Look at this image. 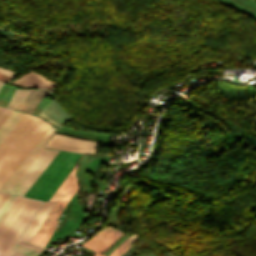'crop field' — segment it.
<instances>
[{"label":"crop field","mask_w":256,"mask_h":256,"mask_svg":"<svg viewBox=\"0 0 256 256\" xmlns=\"http://www.w3.org/2000/svg\"><path fill=\"white\" fill-rule=\"evenodd\" d=\"M54 131L55 130L51 127L49 128L6 183L1 187V191L21 196L24 195L36 178L57 154L56 151L41 149L52 136Z\"/></svg>","instance_id":"obj_1"},{"label":"crop field","mask_w":256,"mask_h":256,"mask_svg":"<svg viewBox=\"0 0 256 256\" xmlns=\"http://www.w3.org/2000/svg\"><path fill=\"white\" fill-rule=\"evenodd\" d=\"M81 156L60 151L24 196L49 200Z\"/></svg>","instance_id":"obj_2"},{"label":"crop field","mask_w":256,"mask_h":256,"mask_svg":"<svg viewBox=\"0 0 256 256\" xmlns=\"http://www.w3.org/2000/svg\"><path fill=\"white\" fill-rule=\"evenodd\" d=\"M76 166L71 171V173L68 175V177L64 180V182L61 184V186L57 189V191L54 193V195L51 197L50 200L57 201L54 205L53 209L47 216L46 220L42 224L41 228L35 235L34 239L32 240V243L40 245L44 247L47 240L53 233L54 229L58 225L56 219L68 203L70 197L75 192V190L78 187V181L77 176L75 175L76 172Z\"/></svg>","instance_id":"obj_3"},{"label":"crop field","mask_w":256,"mask_h":256,"mask_svg":"<svg viewBox=\"0 0 256 256\" xmlns=\"http://www.w3.org/2000/svg\"><path fill=\"white\" fill-rule=\"evenodd\" d=\"M124 234L119 232L117 229L112 227H106L99 232H97L93 238L83 244V246H86L92 250H95L97 253L95 256H103L100 253L103 252L105 249H107L113 242L118 240L120 237H122ZM136 235L130 236L126 241H124L114 252H112L109 256H121L129 247L128 245Z\"/></svg>","instance_id":"obj_4"},{"label":"crop field","mask_w":256,"mask_h":256,"mask_svg":"<svg viewBox=\"0 0 256 256\" xmlns=\"http://www.w3.org/2000/svg\"><path fill=\"white\" fill-rule=\"evenodd\" d=\"M96 144L97 142L79 140L55 134L46 146L72 152L95 153Z\"/></svg>","instance_id":"obj_5"},{"label":"crop field","mask_w":256,"mask_h":256,"mask_svg":"<svg viewBox=\"0 0 256 256\" xmlns=\"http://www.w3.org/2000/svg\"><path fill=\"white\" fill-rule=\"evenodd\" d=\"M55 202L49 201V202H43L42 205L40 206L39 210L35 214L34 218L30 222L29 226L25 230L24 234L22 235V239L27 240L31 242L33 239L34 235L40 228L41 224L45 220L46 216L52 209L53 205Z\"/></svg>","instance_id":"obj_6"},{"label":"crop field","mask_w":256,"mask_h":256,"mask_svg":"<svg viewBox=\"0 0 256 256\" xmlns=\"http://www.w3.org/2000/svg\"><path fill=\"white\" fill-rule=\"evenodd\" d=\"M39 116L47 119L57 127H61L71 117L68 116L63 109L54 101H51L39 114ZM46 120V121H47Z\"/></svg>","instance_id":"obj_7"},{"label":"crop field","mask_w":256,"mask_h":256,"mask_svg":"<svg viewBox=\"0 0 256 256\" xmlns=\"http://www.w3.org/2000/svg\"><path fill=\"white\" fill-rule=\"evenodd\" d=\"M11 83L32 86V87L49 88L52 90L56 85V83L47 80L44 76L32 70L29 71L27 74H25L23 77L19 78L17 81H14Z\"/></svg>","instance_id":"obj_8"},{"label":"crop field","mask_w":256,"mask_h":256,"mask_svg":"<svg viewBox=\"0 0 256 256\" xmlns=\"http://www.w3.org/2000/svg\"><path fill=\"white\" fill-rule=\"evenodd\" d=\"M47 91L31 89L21 110L31 113L37 103L46 94ZM33 112V111H32Z\"/></svg>","instance_id":"obj_9"},{"label":"crop field","mask_w":256,"mask_h":256,"mask_svg":"<svg viewBox=\"0 0 256 256\" xmlns=\"http://www.w3.org/2000/svg\"><path fill=\"white\" fill-rule=\"evenodd\" d=\"M22 115L23 113L12 111L7 119L3 122V124L0 126V143L4 140Z\"/></svg>","instance_id":"obj_10"},{"label":"crop field","mask_w":256,"mask_h":256,"mask_svg":"<svg viewBox=\"0 0 256 256\" xmlns=\"http://www.w3.org/2000/svg\"><path fill=\"white\" fill-rule=\"evenodd\" d=\"M15 198H16V196L9 195L8 199L4 203L3 207L0 210V222L3 219V217L5 216L6 212L10 208V206L13 203V201L15 200Z\"/></svg>","instance_id":"obj_11"},{"label":"crop field","mask_w":256,"mask_h":256,"mask_svg":"<svg viewBox=\"0 0 256 256\" xmlns=\"http://www.w3.org/2000/svg\"><path fill=\"white\" fill-rule=\"evenodd\" d=\"M14 250L27 254L29 256H37L39 254V252L20 246L18 244H16V246L14 247Z\"/></svg>","instance_id":"obj_12"},{"label":"crop field","mask_w":256,"mask_h":256,"mask_svg":"<svg viewBox=\"0 0 256 256\" xmlns=\"http://www.w3.org/2000/svg\"><path fill=\"white\" fill-rule=\"evenodd\" d=\"M27 93H28V90L23 89L22 93L20 94V96H19V98H18V100H17V102L14 106V109L20 110V108H21V106H22V104H23V102L26 98Z\"/></svg>","instance_id":"obj_13"},{"label":"crop field","mask_w":256,"mask_h":256,"mask_svg":"<svg viewBox=\"0 0 256 256\" xmlns=\"http://www.w3.org/2000/svg\"><path fill=\"white\" fill-rule=\"evenodd\" d=\"M10 109H5L0 107V124L6 118V116L10 113Z\"/></svg>","instance_id":"obj_14"},{"label":"crop field","mask_w":256,"mask_h":256,"mask_svg":"<svg viewBox=\"0 0 256 256\" xmlns=\"http://www.w3.org/2000/svg\"><path fill=\"white\" fill-rule=\"evenodd\" d=\"M18 244H21V245L26 246V247H29V248H31V249L37 250V251H39V252L42 250V248L33 246V245H31V244H28V243H25V242H22V241H18Z\"/></svg>","instance_id":"obj_15"},{"label":"crop field","mask_w":256,"mask_h":256,"mask_svg":"<svg viewBox=\"0 0 256 256\" xmlns=\"http://www.w3.org/2000/svg\"><path fill=\"white\" fill-rule=\"evenodd\" d=\"M7 197H8L7 194L1 193V195H0V208L2 207V205L5 202V200L7 199Z\"/></svg>","instance_id":"obj_16"},{"label":"crop field","mask_w":256,"mask_h":256,"mask_svg":"<svg viewBox=\"0 0 256 256\" xmlns=\"http://www.w3.org/2000/svg\"><path fill=\"white\" fill-rule=\"evenodd\" d=\"M10 256H27V255H24V254H21L19 252H16V251L12 250Z\"/></svg>","instance_id":"obj_17"},{"label":"crop field","mask_w":256,"mask_h":256,"mask_svg":"<svg viewBox=\"0 0 256 256\" xmlns=\"http://www.w3.org/2000/svg\"><path fill=\"white\" fill-rule=\"evenodd\" d=\"M136 245L133 244L132 247L123 255V256H127L131 251L132 249L135 247Z\"/></svg>","instance_id":"obj_18"},{"label":"crop field","mask_w":256,"mask_h":256,"mask_svg":"<svg viewBox=\"0 0 256 256\" xmlns=\"http://www.w3.org/2000/svg\"><path fill=\"white\" fill-rule=\"evenodd\" d=\"M165 256H172V255H170V254L167 253Z\"/></svg>","instance_id":"obj_19"},{"label":"crop field","mask_w":256,"mask_h":256,"mask_svg":"<svg viewBox=\"0 0 256 256\" xmlns=\"http://www.w3.org/2000/svg\"><path fill=\"white\" fill-rule=\"evenodd\" d=\"M1 84V83H0Z\"/></svg>","instance_id":"obj_20"}]
</instances>
